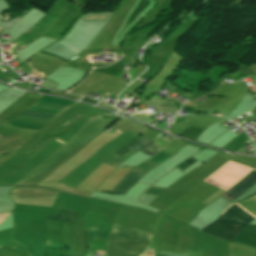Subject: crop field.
I'll return each instance as SVG.
<instances>
[{"instance_id":"crop-field-1","label":"crop field","mask_w":256,"mask_h":256,"mask_svg":"<svg viewBox=\"0 0 256 256\" xmlns=\"http://www.w3.org/2000/svg\"><path fill=\"white\" fill-rule=\"evenodd\" d=\"M110 235L134 241H139L147 244L151 242V238L153 236V234L151 233L139 231L115 223L112 226ZM121 238L111 236L110 242L108 239L110 256H139L145 251L146 247L148 246L147 244L125 240Z\"/></svg>"},{"instance_id":"crop-field-2","label":"crop field","mask_w":256,"mask_h":256,"mask_svg":"<svg viewBox=\"0 0 256 256\" xmlns=\"http://www.w3.org/2000/svg\"><path fill=\"white\" fill-rule=\"evenodd\" d=\"M224 212H222L221 215ZM253 220L254 218H252L251 216H249L248 214H246L245 212H243L234 205L229 210H227L222 216H219L215 222L208 225L203 230L211 234L220 236L222 238L232 240L241 231L242 228H244Z\"/></svg>"},{"instance_id":"crop-field-3","label":"crop field","mask_w":256,"mask_h":256,"mask_svg":"<svg viewBox=\"0 0 256 256\" xmlns=\"http://www.w3.org/2000/svg\"><path fill=\"white\" fill-rule=\"evenodd\" d=\"M40 100L41 101H46V102H51V103L67 105V106H71L74 103L73 101L56 99V98H51V97H46V96H43ZM41 101L35 102L28 109L58 115L64 109L68 108L67 106L51 104V103H46V102H41ZM29 110L24 111L20 115L28 116V117L41 118V119H47V120H51L55 117V115L39 113V112H34V111H29Z\"/></svg>"},{"instance_id":"crop-field-4","label":"crop field","mask_w":256,"mask_h":256,"mask_svg":"<svg viewBox=\"0 0 256 256\" xmlns=\"http://www.w3.org/2000/svg\"><path fill=\"white\" fill-rule=\"evenodd\" d=\"M154 166V164L151 163H142L137 168H134L133 171H137L140 173L146 174L148 171H150ZM136 172H129L126 177L120 181L116 187L112 190L114 193H125L128 191L144 174H140Z\"/></svg>"},{"instance_id":"crop-field-5","label":"crop field","mask_w":256,"mask_h":256,"mask_svg":"<svg viewBox=\"0 0 256 256\" xmlns=\"http://www.w3.org/2000/svg\"><path fill=\"white\" fill-rule=\"evenodd\" d=\"M151 141L145 139L143 136L140 137L139 139H137L136 141L126 145L125 147L134 151V152H138L140 149H142L143 147H145L147 144H149ZM128 152L126 153L124 156L120 157L116 154H114L113 156H111L105 163L117 168V166L123 162L125 159H127L128 157H130L131 155L135 154L134 152Z\"/></svg>"},{"instance_id":"crop-field-6","label":"crop field","mask_w":256,"mask_h":256,"mask_svg":"<svg viewBox=\"0 0 256 256\" xmlns=\"http://www.w3.org/2000/svg\"><path fill=\"white\" fill-rule=\"evenodd\" d=\"M254 184H256V172L252 171L250 174H248L245 178H243L239 183H237L234 187H232L228 192H226L223 195L234 200L242 193H244L246 190H248L250 187H252Z\"/></svg>"},{"instance_id":"crop-field-7","label":"crop field","mask_w":256,"mask_h":256,"mask_svg":"<svg viewBox=\"0 0 256 256\" xmlns=\"http://www.w3.org/2000/svg\"><path fill=\"white\" fill-rule=\"evenodd\" d=\"M79 212L67 211L58 209L54 216L48 215L47 220H61V221H69L76 222Z\"/></svg>"},{"instance_id":"crop-field-8","label":"crop field","mask_w":256,"mask_h":256,"mask_svg":"<svg viewBox=\"0 0 256 256\" xmlns=\"http://www.w3.org/2000/svg\"><path fill=\"white\" fill-rule=\"evenodd\" d=\"M97 116H94V117H87V118H84L82 119L81 121H79L76 125H74L67 133H65L62 138L68 140L69 138H71L80 128L81 126L87 122L88 120L90 119H93Z\"/></svg>"},{"instance_id":"crop-field-9","label":"crop field","mask_w":256,"mask_h":256,"mask_svg":"<svg viewBox=\"0 0 256 256\" xmlns=\"http://www.w3.org/2000/svg\"><path fill=\"white\" fill-rule=\"evenodd\" d=\"M111 228L96 227L92 240H107Z\"/></svg>"},{"instance_id":"crop-field-10","label":"crop field","mask_w":256,"mask_h":256,"mask_svg":"<svg viewBox=\"0 0 256 256\" xmlns=\"http://www.w3.org/2000/svg\"><path fill=\"white\" fill-rule=\"evenodd\" d=\"M170 156V154L161 150L157 155L148 160V162H152L159 165L162 161L166 160Z\"/></svg>"},{"instance_id":"crop-field-11","label":"crop field","mask_w":256,"mask_h":256,"mask_svg":"<svg viewBox=\"0 0 256 256\" xmlns=\"http://www.w3.org/2000/svg\"><path fill=\"white\" fill-rule=\"evenodd\" d=\"M196 162H198V161H196L195 159H193V158H189L187 161H185L183 164H185V165H187V166H192L193 164H195ZM183 164H181L179 167H177V168H179L180 170H185V169H187V168H189V167H187V166H185V165H183Z\"/></svg>"},{"instance_id":"crop-field-12","label":"crop field","mask_w":256,"mask_h":256,"mask_svg":"<svg viewBox=\"0 0 256 256\" xmlns=\"http://www.w3.org/2000/svg\"><path fill=\"white\" fill-rule=\"evenodd\" d=\"M163 190H164V189H162V188L152 187V188H150V189H149L148 191H146V192L158 196Z\"/></svg>"},{"instance_id":"crop-field-13","label":"crop field","mask_w":256,"mask_h":256,"mask_svg":"<svg viewBox=\"0 0 256 256\" xmlns=\"http://www.w3.org/2000/svg\"><path fill=\"white\" fill-rule=\"evenodd\" d=\"M236 205H238V204H236ZM243 211H245V212H247V213H249L248 211H246L244 208H242L240 205H238ZM250 214V213H249ZM251 216H253L252 214H250ZM254 217V216H253ZM254 218H256V217H254Z\"/></svg>"},{"instance_id":"crop-field-14","label":"crop field","mask_w":256,"mask_h":256,"mask_svg":"<svg viewBox=\"0 0 256 256\" xmlns=\"http://www.w3.org/2000/svg\"><path fill=\"white\" fill-rule=\"evenodd\" d=\"M56 141H58V142H60V143H62V144H63V142H61V141H59V140H57V139H56Z\"/></svg>"},{"instance_id":"crop-field-15","label":"crop field","mask_w":256,"mask_h":256,"mask_svg":"<svg viewBox=\"0 0 256 256\" xmlns=\"http://www.w3.org/2000/svg\"><path fill=\"white\" fill-rule=\"evenodd\" d=\"M156 256H162V255H158V254H156Z\"/></svg>"}]
</instances>
